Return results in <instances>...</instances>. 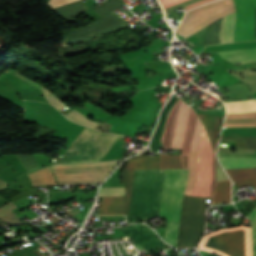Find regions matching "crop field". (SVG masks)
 Here are the masks:
<instances>
[{
	"mask_svg": "<svg viewBox=\"0 0 256 256\" xmlns=\"http://www.w3.org/2000/svg\"><path fill=\"white\" fill-rule=\"evenodd\" d=\"M7 72L11 73L12 75H14L16 77L23 79L24 81L36 86L37 88L41 89L44 93L45 98L50 102V104H53L59 111H61L62 109H64L66 107V105H64V103H62L53 93L45 90L43 87H41L37 83L29 81L30 79L28 80V79L24 78L23 76H21L14 70H8Z\"/></svg>",
	"mask_w": 256,
	"mask_h": 256,
	"instance_id": "21",
	"label": "crop field"
},
{
	"mask_svg": "<svg viewBox=\"0 0 256 256\" xmlns=\"http://www.w3.org/2000/svg\"><path fill=\"white\" fill-rule=\"evenodd\" d=\"M119 137L86 127L57 163L100 161Z\"/></svg>",
	"mask_w": 256,
	"mask_h": 256,
	"instance_id": "3",
	"label": "crop field"
},
{
	"mask_svg": "<svg viewBox=\"0 0 256 256\" xmlns=\"http://www.w3.org/2000/svg\"><path fill=\"white\" fill-rule=\"evenodd\" d=\"M160 157L140 156L125 163L121 183L127 185L126 196L101 198L98 215L128 214L135 169H156ZM164 169L136 170L129 216L159 214ZM188 170L165 169L160 215L167 219L165 241L176 247L183 192ZM205 198L184 195L178 248L195 247L205 226ZM131 218V219H132Z\"/></svg>",
	"mask_w": 256,
	"mask_h": 256,
	"instance_id": "1",
	"label": "crop field"
},
{
	"mask_svg": "<svg viewBox=\"0 0 256 256\" xmlns=\"http://www.w3.org/2000/svg\"><path fill=\"white\" fill-rule=\"evenodd\" d=\"M249 184H252L253 188H256V181L246 182V183H238V184H235V186H236V188H238V187H242V186L249 185Z\"/></svg>",
	"mask_w": 256,
	"mask_h": 256,
	"instance_id": "30",
	"label": "crop field"
},
{
	"mask_svg": "<svg viewBox=\"0 0 256 256\" xmlns=\"http://www.w3.org/2000/svg\"><path fill=\"white\" fill-rule=\"evenodd\" d=\"M17 157L27 171L38 167L32 155H17Z\"/></svg>",
	"mask_w": 256,
	"mask_h": 256,
	"instance_id": "27",
	"label": "crop field"
},
{
	"mask_svg": "<svg viewBox=\"0 0 256 256\" xmlns=\"http://www.w3.org/2000/svg\"><path fill=\"white\" fill-rule=\"evenodd\" d=\"M251 222H256V216H255V218Z\"/></svg>",
	"mask_w": 256,
	"mask_h": 256,
	"instance_id": "35",
	"label": "crop field"
},
{
	"mask_svg": "<svg viewBox=\"0 0 256 256\" xmlns=\"http://www.w3.org/2000/svg\"><path fill=\"white\" fill-rule=\"evenodd\" d=\"M125 195L124 187L100 188L99 197Z\"/></svg>",
	"mask_w": 256,
	"mask_h": 256,
	"instance_id": "26",
	"label": "crop field"
},
{
	"mask_svg": "<svg viewBox=\"0 0 256 256\" xmlns=\"http://www.w3.org/2000/svg\"><path fill=\"white\" fill-rule=\"evenodd\" d=\"M197 115L202 120L208 132V135L213 143L214 149L216 151L217 144H218L217 136H218V131L220 127V122H221V119H223L224 117L212 116V115H200V114H197Z\"/></svg>",
	"mask_w": 256,
	"mask_h": 256,
	"instance_id": "14",
	"label": "crop field"
},
{
	"mask_svg": "<svg viewBox=\"0 0 256 256\" xmlns=\"http://www.w3.org/2000/svg\"><path fill=\"white\" fill-rule=\"evenodd\" d=\"M224 169L238 167H253L256 166V158L248 157H218Z\"/></svg>",
	"mask_w": 256,
	"mask_h": 256,
	"instance_id": "16",
	"label": "crop field"
},
{
	"mask_svg": "<svg viewBox=\"0 0 256 256\" xmlns=\"http://www.w3.org/2000/svg\"><path fill=\"white\" fill-rule=\"evenodd\" d=\"M235 12L224 17L220 42H233Z\"/></svg>",
	"mask_w": 256,
	"mask_h": 256,
	"instance_id": "20",
	"label": "crop field"
},
{
	"mask_svg": "<svg viewBox=\"0 0 256 256\" xmlns=\"http://www.w3.org/2000/svg\"><path fill=\"white\" fill-rule=\"evenodd\" d=\"M6 185H8L4 180H2L1 178H0V188H2V187H4V186H6Z\"/></svg>",
	"mask_w": 256,
	"mask_h": 256,
	"instance_id": "32",
	"label": "crop field"
},
{
	"mask_svg": "<svg viewBox=\"0 0 256 256\" xmlns=\"http://www.w3.org/2000/svg\"><path fill=\"white\" fill-rule=\"evenodd\" d=\"M221 140L236 142L235 148H246V149L256 150V137H254V138H232V139H221ZM218 156H249V157H256V151H255L254 155L218 153Z\"/></svg>",
	"mask_w": 256,
	"mask_h": 256,
	"instance_id": "19",
	"label": "crop field"
},
{
	"mask_svg": "<svg viewBox=\"0 0 256 256\" xmlns=\"http://www.w3.org/2000/svg\"><path fill=\"white\" fill-rule=\"evenodd\" d=\"M180 102L181 101L178 99V101L176 102V104L173 106L170 113L168 114L166 127L161 140L163 147L170 148L177 110ZM188 115H189V106L181 102L178 110L171 148L181 149L183 139H184L186 124L188 120Z\"/></svg>",
	"mask_w": 256,
	"mask_h": 256,
	"instance_id": "7",
	"label": "crop field"
},
{
	"mask_svg": "<svg viewBox=\"0 0 256 256\" xmlns=\"http://www.w3.org/2000/svg\"><path fill=\"white\" fill-rule=\"evenodd\" d=\"M236 9V27L234 32V42L244 40H255L254 38V14L256 7V0H234ZM234 7L211 18L185 35L181 36L184 39L199 31L210 23L214 22L218 18L232 13L235 11Z\"/></svg>",
	"mask_w": 256,
	"mask_h": 256,
	"instance_id": "6",
	"label": "crop field"
},
{
	"mask_svg": "<svg viewBox=\"0 0 256 256\" xmlns=\"http://www.w3.org/2000/svg\"><path fill=\"white\" fill-rule=\"evenodd\" d=\"M256 215V207L255 209L250 213V215L247 217L250 219V221L254 218V216Z\"/></svg>",
	"mask_w": 256,
	"mask_h": 256,
	"instance_id": "31",
	"label": "crop field"
},
{
	"mask_svg": "<svg viewBox=\"0 0 256 256\" xmlns=\"http://www.w3.org/2000/svg\"><path fill=\"white\" fill-rule=\"evenodd\" d=\"M252 225L253 256H256V223ZM251 227L238 226L204 236L199 248L221 256H252Z\"/></svg>",
	"mask_w": 256,
	"mask_h": 256,
	"instance_id": "2",
	"label": "crop field"
},
{
	"mask_svg": "<svg viewBox=\"0 0 256 256\" xmlns=\"http://www.w3.org/2000/svg\"><path fill=\"white\" fill-rule=\"evenodd\" d=\"M177 99L178 98L176 97V95L173 94L171 99L168 101V103L163 108V110H162V112L160 114L158 126H157V128H156V130L154 132L153 138L151 140V151L157 152L158 146H159V142H160V138H161L163 129L165 127L167 114L169 113L170 109L172 108L174 103L177 101Z\"/></svg>",
	"mask_w": 256,
	"mask_h": 256,
	"instance_id": "12",
	"label": "crop field"
},
{
	"mask_svg": "<svg viewBox=\"0 0 256 256\" xmlns=\"http://www.w3.org/2000/svg\"><path fill=\"white\" fill-rule=\"evenodd\" d=\"M78 0H50L48 3L52 8L59 7L65 4H69Z\"/></svg>",
	"mask_w": 256,
	"mask_h": 256,
	"instance_id": "28",
	"label": "crop field"
},
{
	"mask_svg": "<svg viewBox=\"0 0 256 256\" xmlns=\"http://www.w3.org/2000/svg\"><path fill=\"white\" fill-rule=\"evenodd\" d=\"M255 38H256V14H255Z\"/></svg>",
	"mask_w": 256,
	"mask_h": 256,
	"instance_id": "34",
	"label": "crop field"
},
{
	"mask_svg": "<svg viewBox=\"0 0 256 256\" xmlns=\"http://www.w3.org/2000/svg\"><path fill=\"white\" fill-rule=\"evenodd\" d=\"M201 129H202V125L197 117L196 128L194 131V138L192 141L191 151H190L188 183L184 192V194H187V195L191 194L192 187H193L194 175H195V160H196L197 146L199 142Z\"/></svg>",
	"mask_w": 256,
	"mask_h": 256,
	"instance_id": "11",
	"label": "crop field"
},
{
	"mask_svg": "<svg viewBox=\"0 0 256 256\" xmlns=\"http://www.w3.org/2000/svg\"><path fill=\"white\" fill-rule=\"evenodd\" d=\"M233 183L256 180V167L226 170Z\"/></svg>",
	"mask_w": 256,
	"mask_h": 256,
	"instance_id": "17",
	"label": "crop field"
},
{
	"mask_svg": "<svg viewBox=\"0 0 256 256\" xmlns=\"http://www.w3.org/2000/svg\"><path fill=\"white\" fill-rule=\"evenodd\" d=\"M147 251L166 245L156 233L143 224H132L118 227Z\"/></svg>",
	"mask_w": 256,
	"mask_h": 256,
	"instance_id": "10",
	"label": "crop field"
},
{
	"mask_svg": "<svg viewBox=\"0 0 256 256\" xmlns=\"http://www.w3.org/2000/svg\"><path fill=\"white\" fill-rule=\"evenodd\" d=\"M121 160L50 166L57 184L102 182Z\"/></svg>",
	"mask_w": 256,
	"mask_h": 256,
	"instance_id": "4",
	"label": "crop field"
},
{
	"mask_svg": "<svg viewBox=\"0 0 256 256\" xmlns=\"http://www.w3.org/2000/svg\"><path fill=\"white\" fill-rule=\"evenodd\" d=\"M196 115L190 108V115L188 125L186 129L185 139L181 155H163L161 154V161L159 168H184L188 169V158L192 139V133L194 129Z\"/></svg>",
	"mask_w": 256,
	"mask_h": 256,
	"instance_id": "9",
	"label": "crop field"
},
{
	"mask_svg": "<svg viewBox=\"0 0 256 256\" xmlns=\"http://www.w3.org/2000/svg\"><path fill=\"white\" fill-rule=\"evenodd\" d=\"M231 202L230 179L218 181L215 184L212 204Z\"/></svg>",
	"mask_w": 256,
	"mask_h": 256,
	"instance_id": "15",
	"label": "crop field"
},
{
	"mask_svg": "<svg viewBox=\"0 0 256 256\" xmlns=\"http://www.w3.org/2000/svg\"><path fill=\"white\" fill-rule=\"evenodd\" d=\"M65 116L77 123L83 124L85 126H90L92 128H95L97 125V123L90 122L88 119H86L85 116H83L81 113L77 112L74 109L70 111L68 114H66Z\"/></svg>",
	"mask_w": 256,
	"mask_h": 256,
	"instance_id": "25",
	"label": "crop field"
},
{
	"mask_svg": "<svg viewBox=\"0 0 256 256\" xmlns=\"http://www.w3.org/2000/svg\"><path fill=\"white\" fill-rule=\"evenodd\" d=\"M233 0H220L200 8L190 10L184 17L177 33L181 36L211 17L233 7Z\"/></svg>",
	"mask_w": 256,
	"mask_h": 256,
	"instance_id": "8",
	"label": "crop field"
},
{
	"mask_svg": "<svg viewBox=\"0 0 256 256\" xmlns=\"http://www.w3.org/2000/svg\"><path fill=\"white\" fill-rule=\"evenodd\" d=\"M209 1H212V0H200V1H198V2H195V3H193V4L189 5V6H187V7H186V11L189 10V9H191V8H193V7L199 6V5L203 4V3L209 2Z\"/></svg>",
	"mask_w": 256,
	"mask_h": 256,
	"instance_id": "29",
	"label": "crop field"
},
{
	"mask_svg": "<svg viewBox=\"0 0 256 256\" xmlns=\"http://www.w3.org/2000/svg\"><path fill=\"white\" fill-rule=\"evenodd\" d=\"M30 180L35 185H56L54 177L49 169V167L34 171L28 174Z\"/></svg>",
	"mask_w": 256,
	"mask_h": 256,
	"instance_id": "18",
	"label": "crop field"
},
{
	"mask_svg": "<svg viewBox=\"0 0 256 256\" xmlns=\"http://www.w3.org/2000/svg\"><path fill=\"white\" fill-rule=\"evenodd\" d=\"M235 64L256 61V48L217 52Z\"/></svg>",
	"mask_w": 256,
	"mask_h": 256,
	"instance_id": "13",
	"label": "crop field"
},
{
	"mask_svg": "<svg viewBox=\"0 0 256 256\" xmlns=\"http://www.w3.org/2000/svg\"><path fill=\"white\" fill-rule=\"evenodd\" d=\"M250 47H256V41H254V42H239V43H231V44L208 46V47H205L203 52L230 50V49H240V48H250Z\"/></svg>",
	"mask_w": 256,
	"mask_h": 256,
	"instance_id": "24",
	"label": "crop field"
},
{
	"mask_svg": "<svg viewBox=\"0 0 256 256\" xmlns=\"http://www.w3.org/2000/svg\"><path fill=\"white\" fill-rule=\"evenodd\" d=\"M221 21L222 19L210 24L207 30L204 46L211 45V44H220L219 36H220V29H221Z\"/></svg>",
	"mask_w": 256,
	"mask_h": 256,
	"instance_id": "22",
	"label": "crop field"
},
{
	"mask_svg": "<svg viewBox=\"0 0 256 256\" xmlns=\"http://www.w3.org/2000/svg\"><path fill=\"white\" fill-rule=\"evenodd\" d=\"M86 9L87 8L81 3V1H79L55 10L61 15H63L65 18L69 19Z\"/></svg>",
	"mask_w": 256,
	"mask_h": 256,
	"instance_id": "23",
	"label": "crop field"
},
{
	"mask_svg": "<svg viewBox=\"0 0 256 256\" xmlns=\"http://www.w3.org/2000/svg\"><path fill=\"white\" fill-rule=\"evenodd\" d=\"M202 49H203V47H202V48L193 49V51L198 55V53H199Z\"/></svg>",
	"mask_w": 256,
	"mask_h": 256,
	"instance_id": "33",
	"label": "crop field"
},
{
	"mask_svg": "<svg viewBox=\"0 0 256 256\" xmlns=\"http://www.w3.org/2000/svg\"><path fill=\"white\" fill-rule=\"evenodd\" d=\"M122 5L124 4L118 0H108L103 5L93 9L103 17L97 19L95 24L85 29L73 31L69 45L108 33L120 26H130L123 19L112 12Z\"/></svg>",
	"mask_w": 256,
	"mask_h": 256,
	"instance_id": "5",
	"label": "crop field"
}]
</instances>
